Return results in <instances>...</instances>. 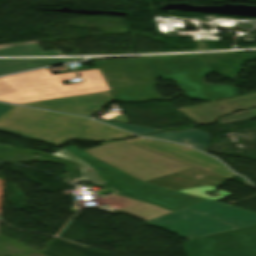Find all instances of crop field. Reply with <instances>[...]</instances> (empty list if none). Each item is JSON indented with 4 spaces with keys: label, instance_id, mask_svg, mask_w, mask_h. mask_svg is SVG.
Wrapping results in <instances>:
<instances>
[{
    "label": "crop field",
    "instance_id": "34b2d1b8",
    "mask_svg": "<svg viewBox=\"0 0 256 256\" xmlns=\"http://www.w3.org/2000/svg\"><path fill=\"white\" fill-rule=\"evenodd\" d=\"M84 152L142 182L194 167L124 141L102 143Z\"/></svg>",
    "mask_w": 256,
    "mask_h": 256
},
{
    "label": "crop field",
    "instance_id": "733c2abd",
    "mask_svg": "<svg viewBox=\"0 0 256 256\" xmlns=\"http://www.w3.org/2000/svg\"><path fill=\"white\" fill-rule=\"evenodd\" d=\"M256 117V109H251L247 111L237 112L226 117H223L219 120V123L222 125L237 122L240 120Z\"/></svg>",
    "mask_w": 256,
    "mask_h": 256
},
{
    "label": "crop field",
    "instance_id": "5a996713",
    "mask_svg": "<svg viewBox=\"0 0 256 256\" xmlns=\"http://www.w3.org/2000/svg\"><path fill=\"white\" fill-rule=\"evenodd\" d=\"M114 97L109 91L64 97L27 104L26 106L50 109L71 114L91 117L106 105L111 103Z\"/></svg>",
    "mask_w": 256,
    "mask_h": 256
},
{
    "label": "crop field",
    "instance_id": "dd49c442",
    "mask_svg": "<svg viewBox=\"0 0 256 256\" xmlns=\"http://www.w3.org/2000/svg\"><path fill=\"white\" fill-rule=\"evenodd\" d=\"M145 224L175 232L187 240L235 229L204 214L185 209L171 212Z\"/></svg>",
    "mask_w": 256,
    "mask_h": 256
},
{
    "label": "crop field",
    "instance_id": "214f88e0",
    "mask_svg": "<svg viewBox=\"0 0 256 256\" xmlns=\"http://www.w3.org/2000/svg\"><path fill=\"white\" fill-rule=\"evenodd\" d=\"M81 78L83 81H88V80H94V79H100L102 78L100 72L98 69L96 70H90V71H80L79 72Z\"/></svg>",
    "mask_w": 256,
    "mask_h": 256
},
{
    "label": "crop field",
    "instance_id": "f4fd0767",
    "mask_svg": "<svg viewBox=\"0 0 256 256\" xmlns=\"http://www.w3.org/2000/svg\"><path fill=\"white\" fill-rule=\"evenodd\" d=\"M188 256H256V225L184 244Z\"/></svg>",
    "mask_w": 256,
    "mask_h": 256
},
{
    "label": "crop field",
    "instance_id": "28ad6ade",
    "mask_svg": "<svg viewBox=\"0 0 256 256\" xmlns=\"http://www.w3.org/2000/svg\"><path fill=\"white\" fill-rule=\"evenodd\" d=\"M237 97H231L207 104L179 109L181 113L197 124H210L220 116L233 112ZM229 114V113H228Z\"/></svg>",
    "mask_w": 256,
    "mask_h": 256
},
{
    "label": "crop field",
    "instance_id": "cbeb9de0",
    "mask_svg": "<svg viewBox=\"0 0 256 256\" xmlns=\"http://www.w3.org/2000/svg\"><path fill=\"white\" fill-rule=\"evenodd\" d=\"M76 59L66 60H0V75L32 68H38L59 63L74 62Z\"/></svg>",
    "mask_w": 256,
    "mask_h": 256
},
{
    "label": "crop field",
    "instance_id": "3316defc",
    "mask_svg": "<svg viewBox=\"0 0 256 256\" xmlns=\"http://www.w3.org/2000/svg\"><path fill=\"white\" fill-rule=\"evenodd\" d=\"M186 208L202 212L228 224H231L237 228L256 224V212L216 201H211L208 199Z\"/></svg>",
    "mask_w": 256,
    "mask_h": 256
},
{
    "label": "crop field",
    "instance_id": "ac0d7876",
    "mask_svg": "<svg viewBox=\"0 0 256 256\" xmlns=\"http://www.w3.org/2000/svg\"><path fill=\"white\" fill-rule=\"evenodd\" d=\"M0 131L51 145L74 138L105 141L133 136L85 118L18 106L0 117Z\"/></svg>",
    "mask_w": 256,
    "mask_h": 256
},
{
    "label": "crop field",
    "instance_id": "bc2a9ffb",
    "mask_svg": "<svg viewBox=\"0 0 256 256\" xmlns=\"http://www.w3.org/2000/svg\"><path fill=\"white\" fill-rule=\"evenodd\" d=\"M249 107H256V92L241 95L238 98L236 110L245 109Z\"/></svg>",
    "mask_w": 256,
    "mask_h": 256
},
{
    "label": "crop field",
    "instance_id": "d8731c3e",
    "mask_svg": "<svg viewBox=\"0 0 256 256\" xmlns=\"http://www.w3.org/2000/svg\"><path fill=\"white\" fill-rule=\"evenodd\" d=\"M124 141L197 166L228 179L233 176V174L216 159L187 148L183 145L142 138H135Z\"/></svg>",
    "mask_w": 256,
    "mask_h": 256
},
{
    "label": "crop field",
    "instance_id": "e52e79f7",
    "mask_svg": "<svg viewBox=\"0 0 256 256\" xmlns=\"http://www.w3.org/2000/svg\"><path fill=\"white\" fill-rule=\"evenodd\" d=\"M227 180L228 179L226 178L194 167L145 183L158 185L171 190L192 194L202 198L217 200L233 194L220 190L218 192L223 197H209L205 192L215 190Z\"/></svg>",
    "mask_w": 256,
    "mask_h": 256
},
{
    "label": "crop field",
    "instance_id": "a9b5d70f",
    "mask_svg": "<svg viewBox=\"0 0 256 256\" xmlns=\"http://www.w3.org/2000/svg\"><path fill=\"white\" fill-rule=\"evenodd\" d=\"M31 43H33V42H31ZM23 44H27V43H23ZM15 45H21V44H14V45L0 46V48H5V47H10V46H15Z\"/></svg>",
    "mask_w": 256,
    "mask_h": 256
},
{
    "label": "crop field",
    "instance_id": "22f410ed",
    "mask_svg": "<svg viewBox=\"0 0 256 256\" xmlns=\"http://www.w3.org/2000/svg\"><path fill=\"white\" fill-rule=\"evenodd\" d=\"M210 136V134L195 129L177 132H161L150 135V137L184 143L201 151H203L208 146L210 142Z\"/></svg>",
    "mask_w": 256,
    "mask_h": 256
},
{
    "label": "crop field",
    "instance_id": "dafd665d",
    "mask_svg": "<svg viewBox=\"0 0 256 256\" xmlns=\"http://www.w3.org/2000/svg\"><path fill=\"white\" fill-rule=\"evenodd\" d=\"M9 85H7L3 80L0 79V93L8 92V91H13Z\"/></svg>",
    "mask_w": 256,
    "mask_h": 256
},
{
    "label": "crop field",
    "instance_id": "8a807250",
    "mask_svg": "<svg viewBox=\"0 0 256 256\" xmlns=\"http://www.w3.org/2000/svg\"><path fill=\"white\" fill-rule=\"evenodd\" d=\"M116 100H147L160 96L154 90L155 77H172L196 100L215 101L237 95L236 87L205 85L202 78L211 70L200 55L96 62Z\"/></svg>",
    "mask_w": 256,
    "mask_h": 256
},
{
    "label": "crop field",
    "instance_id": "00972430",
    "mask_svg": "<svg viewBox=\"0 0 256 256\" xmlns=\"http://www.w3.org/2000/svg\"><path fill=\"white\" fill-rule=\"evenodd\" d=\"M12 107H13L12 105L0 104V116L3 115L5 112H7Z\"/></svg>",
    "mask_w": 256,
    "mask_h": 256
},
{
    "label": "crop field",
    "instance_id": "d1516ede",
    "mask_svg": "<svg viewBox=\"0 0 256 256\" xmlns=\"http://www.w3.org/2000/svg\"><path fill=\"white\" fill-rule=\"evenodd\" d=\"M103 199L105 203L109 204L110 206L119 210H123L145 221H148L155 217L171 212L168 210H164L146 203L131 200L115 194L109 195Z\"/></svg>",
    "mask_w": 256,
    "mask_h": 256
},
{
    "label": "crop field",
    "instance_id": "d9b57169",
    "mask_svg": "<svg viewBox=\"0 0 256 256\" xmlns=\"http://www.w3.org/2000/svg\"><path fill=\"white\" fill-rule=\"evenodd\" d=\"M56 50L42 52L37 43L0 49V55H59Z\"/></svg>",
    "mask_w": 256,
    "mask_h": 256
},
{
    "label": "crop field",
    "instance_id": "5142ce71",
    "mask_svg": "<svg viewBox=\"0 0 256 256\" xmlns=\"http://www.w3.org/2000/svg\"><path fill=\"white\" fill-rule=\"evenodd\" d=\"M52 155L62 157L68 160H71L73 162H76L80 164V169H81V175H82V180L87 181L93 184H104L105 181L99 176V174L92 168V166L88 165L85 163L83 160L75 157L73 154H71L69 151L63 149L59 152H56Z\"/></svg>",
    "mask_w": 256,
    "mask_h": 256
},
{
    "label": "crop field",
    "instance_id": "412701ff",
    "mask_svg": "<svg viewBox=\"0 0 256 256\" xmlns=\"http://www.w3.org/2000/svg\"><path fill=\"white\" fill-rule=\"evenodd\" d=\"M1 79L16 91L0 94V101L14 104L109 90L104 79L63 86L46 69Z\"/></svg>",
    "mask_w": 256,
    "mask_h": 256
},
{
    "label": "crop field",
    "instance_id": "4a817a6b",
    "mask_svg": "<svg viewBox=\"0 0 256 256\" xmlns=\"http://www.w3.org/2000/svg\"><path fill=\"white\" fill-rule=\"evenodd\" d=\"M96 120H99V119H96ZM99 121H102L104 123L116 126L118 128H121V129H124V130H127V131H130V132L138 134V135L158 131V130H154V129L138 127V126L122 124V123H116V122H111V121H105V120H99Z\"/></svg>",
    "mask_w": 256,
    "mask_h": 256
},
{
    "label": "crop field",
    "instance_id": "92a150f3",
    "mask_svg": "<svg viewBox=\"0 0 256 256\" xmlns=\"http://www.w3.org/2000/svg\"><path fill=\"white\" fill-rule=\"evenodd\" d=\"M53 76L56 77L59 81H62V80L74 78L75 74L73 72H69V73H63V74H56Z\"/></svg>",
    "mask_w": 256,
    "mask_h": 256
}]
</instances>
